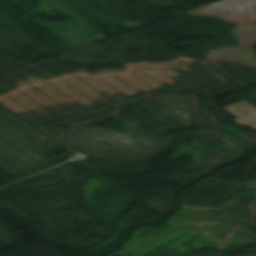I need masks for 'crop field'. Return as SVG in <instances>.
Wrapping results in <instances>:
<instances>
[{
  "instance_id": "8a807250",
  "label": "crop field",
  "mask_w": 256,
  "mask_h": 256,
  "mask_svg": "<svg viewBox=\"0 0 256 256\" xmlns=\"http://www.w3.org/2000/svg\"><path fill=\"white\" fill-rule=\"evenodd\" d=\"M231 106H233L236 109L240 110L244 114L239 113L237 110H235ZM231 106L226 107L224 109L226 111H228L229 113H231L236 118L241 116V115H244L243 117L235 120L236 123L244 125L246 127H249V128H252V129L256 130V120L248 117V116H251V117L256 118V108H254L252 105H250L245 100H243V101H241L239 103H236L234 105H231Z\"/></svg>"
}]
</instances>
